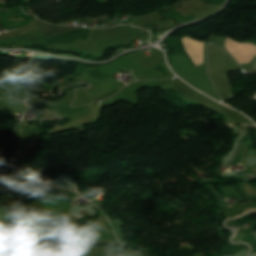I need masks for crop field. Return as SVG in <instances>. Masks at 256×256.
I'll return each mask as SVG.
<instances>
[{
  "label": "crop field",
  "instance_id": "crop-field-1",
  "mask_svg": "<svg viewBox=\"0 0 256 256\" xmlns=\"http://www.w3.org/2000/svg\"><path fill=\"white\" fill-rule=\"evenodd\" d=\"M30 197L26 198H0V207L6 209H15L26 207Z\"/></svg>",
  "mask_w": 256,
  "mask_h": 256
},
{
  "label": "crop field",
  "instance_id": "crop-field-2",
  "mask_svg": "<svg viewBox=\"0 0 256 256\" xmlns=\"http://www.w3.org/2000/svg\"><path fill=\"white\" fill-rule=\"evenodd\" d=\"M21 102V101H20ZM22 103V102H21ZM23 104V103H22ZM25 105V104H24Z\"/></svg>",
  "mask_w": 256,
  "mask_h": 256
}]
</instances>
